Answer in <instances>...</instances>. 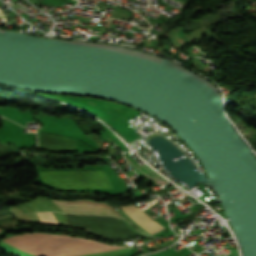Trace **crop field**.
<instances>
[{"instance_id":"2","label":"crop field","mask_w":256,"mask_h":256,"mask_svg":"<svg viewBox=\"0 0 256 256\" xmlns=\"http://www.w3.org/2000/svg\"><path fill=\"white\" fill-rule=\"evenodd\" d=\"M52 200V199H51ZM62 212L111 214L121 216L113 207L105 203H97L87 199L75 201L52 200Z\"/></svg>"},{"instance_id":"3","label":"crop field","mask_w":256,"mask_h":256,"mask_svg":"<svg viewBox=\"0 0 256 256\" xmlns=\"http://www.w3.org/2000/svg\"><path fill=\"white\" fill-rule=\"evenodd\" d=\"M123 209V211L132 218L135 222H137L141 227H143L146 231L154 234L162 229L158 223L153 221L148 217L147 214L142 212L138 207L134 205H128V206H119Z\"/></svg>"},{"instance_id":"1","label":"crop field","mask_w":256,"mask_h":256,"mask_svg":"<svg viewBox=\"0 0 256 256\" xmlns=\"http://www.w3.org/2000/svg\"><path fill=\"white\" fill-rule=\"evenodd\" d=\"M5 242L38 256H73L122 248L104 245L91 240L47 233L11 236Z\"/></svg>"},{"instance_id":"4","label":"crop field","mask_w":256,"mask_h":256,"mask_svg":"<svg viewBox=\"0 0 256 256\" xmlns=\"http://www.w3.org/2000/svg\"><path fill=\"white\" fill-rule=\"evenodd\" d=\"M130 249H131V247H128V248H124V249L104 251V252H99V253L89 254V255H82V256H114L117 254L128 252V251H130Z\"/></svg>"}]
</instances>
